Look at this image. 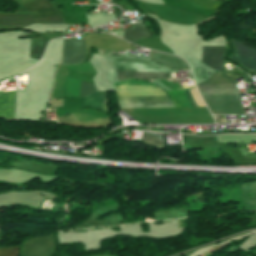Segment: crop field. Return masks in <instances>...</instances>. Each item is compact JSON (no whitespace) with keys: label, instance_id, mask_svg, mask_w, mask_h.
<instances>
[{"label":"crop field","instance_id":"8a807250","mask_svg":"<svg viewBox=\"0 0 256 256\" xmlns=\"http://www.w3.org/2000/svg\"><path fill=\"white\" fill-rule=\"evenodd\" d=\"M155 86L149 82L127 80L115 83V87ZM118 95H142L165 94L158 87L115 88ZM198 107L205 106L196 89H189ZM188 89L178 90L185 106H191L187 93H189L192 105L197 107ZM177 90L167 91L174 102L175 107L184 106ZM118 107H174L167 95H142V96H118Z\"/></svg>","mask_w":256,"mask_h":256},{"label":"crop field","instance_id":"ac0d7876","mask_svg":"<svg viewBox=\"0 0 256 256\" xmlns=\"http://www.w3.org/2000/svg\"><path fill=\"white\" fill-rule=\"evenodd\" d=\"M197 86L211 113L245 115L234 78L229 73L214 72Z\"/></svg>","mask_w":256,"mask_h":256},{"label":"crop field","instance_id":"34b2d1b8","mask_svg":"<svg viewBox=\"0 0 256 256\" xmlns=\"http://www.w3.org/2000/svg\"><path fill=\"white\" fill-rule=\"evenodd\" d=\"M117 70L167 71L157 65L134 57H111ZM120 81L128 78H168V72L118 71Z\"/></svg>","mask_w":256,"mask_h":256},{"label":"crop field","instance_id":"412701ff","mask_svg":"<svg viewBox=\"0 0 256 256\" xmlns=\"http://www.w3.org/2000/svg\"><path fill=\"white\" fill-rule=\"evenodd\" d=\"M30 11H37L40 17L59 15L48 0H35L24 4ZM34 22H63L59 16L33 19L32 15H0V24L19 25Z\"/></svg>","mask_w":256,"mask_h":256},{"label":"crop field","instance_id":"f4fd0767","mask_svg":"<svg viewBox=\"0 0 256 256\" xmlns=\"http://www.w3.org/2000/svg\"><path fill=\"white\" fill-rule=\"evenodd\" d=\"M85 53L84 41L79 40H63V64H77L83 61Z\"/></svg>","mask_w":256,"mask_h":256},{"label":"crop field","instance_id":"dd49c442","mask_svg":"<svg viewBox=\"0 0 256 256\" xmlns=\"http://www.w3.org/2000/svg\"><path fill=\"white\" fill-rule=\"evenodd\" d=\"M93 91L94 90L90 84L81 81L80 97H84ZM83 106H91L109 112L107 108V92H94L86 96Z\"/></svg>","mask_w":256,"mask_h":256},{"label":"crop field","instance_id":"e52e79f7","mask_svg":"<svg viewBox=\"0 0 256 256\" xmlns=\"http://www.w3.org/2000/svg\"><path fill=\"white\" fill-rule=\"evenodd\" d=\"M232 43L236 48V54L231 59L239 62L249 71L256 72V51L235 40H232Z\"/></svg>","mask_w":256,"mask_h":256},{"label":"crop field","instance_id":"d8731c3e","mask_svg":"<svg viewBox=\"0 0 256 256\" xmlns=\"http://www.w3.org/2000/svg\"><path fill=\"white\" fill-rule=\"evenodd\" d=\"M224 47H203L202 63L216 71H224Z\"/></svg>","mask_w":256,"mask_h":256},{"label":"crop field","instance_id":"5a996713","mask_svg":"<svg viewBox=\"0 0 256 256\" xmlns=\"http://www.w3.org/2000/svg\"><path fill=\"white\" fill-rule=\"evenodd\" d=\"M151 59L160 64H164L170 67L171 69L189 68L187 64L178 57H174V56H170V55H166V54H162L154 51H151Z\"/></svg>","mask_w":256,"mask_h":256},{"label":"crop field","instance_id":"3316defc","mask_svg":"<svg viewBox=\"0 0 256 256\" xmlns=\"http://www.w3.org/2000/svg\"><path fill=\"white\" fill-rule=\"evenodd\" d=\"M134 29L124 31V39L134 43L137 40L152 37L142 21L132 25Z\"/></svg>","mask_w":256,"mask_h":256},{"label":"crop field","instance_id":"28ad6ade","mask_svg":"<svg viewBox=\"0 0 256 256\" xmlns=\"http://www.w3.org/2000/svg\"><path fill=\"white\" fill-rule=\"evenodd\" d=\"M140 141L146 144L154 145L158 148H165L162 133L145 132L143 139Z\"/></svg>","mask_w":256,"mask_h":256},{"label":"crop field","instance_id":"d1516ede","mask_svg":"<svg viewBox=\"0 0 256 256\" xmlns=\"http://www.w3.org/2000/svg\"><path fill=\"white\" fill-rule=\"evenodd\" d=\"M45 40L44 38L31 39L30 57L40 59L44 51Z\"/></svg>","mask_w":256,"mask_h":256},{"label":"crop field","instance_id":"22f410ed","mask_svg":"<svg viewBox=\"0 0 256 256\" xmlns=\"http://www.w3.org/2000/svg\"><path fill=\"white\" fill-rule=\"evenodd\" d=\"M18 246H8L0 248V256H17Z\"/></svg>","mask_w":256,"mask_h":256}]
</instances>
